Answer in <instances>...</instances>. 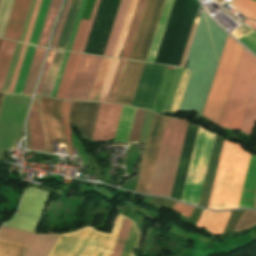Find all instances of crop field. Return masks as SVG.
<instances>
[{
  "mask_svg": "<svg viewBox=\"0 0 256 256\" xmlns=\"http://www.w3.org/2000/svg\"><path fill=\"white\" fill-rule=\"evenodd\" d=\"M60 100L40 97V115L43 124L47 152L53 153L52 141L65 143L64 130L61 120Z\"/></svg>",
  "mask_w": 256,
  "mask_h": 256,
  "instance_id": "28ad6ade",
  "label": "crop field"
},
{
  "mask_svg": "<svg viewBox=\"0 0 256 256\" xmlns=\"http://www.w3.org/2000/svg\"><path fill=\"white\" fill-rule=\"evenodd\" d=\"M240 41L246 45L252 52L256 54V33L250 32L249 34L245 35Z\"/></svg>",
  "mask_w": 256,
  "mask_h": 256,
  "instance_id": "425ffa30",
  "label": "crop field"
},
{
  "mask_svg": "<svg viewBox=\"0 0 256 256\" xmlns=\"http://www.w3.org/2000/svg\"><path fill=\"white\" fill-rule=\"evenodd\" d=\"M122 105L101 103L92 138L106 141L115 135Z\"/></svg>",
  "mask_w": 256,
  "mask_h": 256,
  "instance_id": "22f410ed",
  "label": "crop field"
},
{
  "mask_svg": "<svg viewBox=\"0 0 256 256\" xmlns=\"http://www.w3.org/2000/svg\"><path fill=\"white\" fill-rule=\"evenodd\" d=\"M99 2H100V0H96V1H95L94 7H93V11H92V14H91V17H90V22H89V25H88L86 34H85V36H84V39H83V42H82V45H81V48H80V51H79V52H81V53L84 52V49H85V46H86V43H87V39H88L90 30H91V27H92V24H93L95 15H96V11H97Z\"/></svg>",
  "mask_w": 256,
  "mask_h": 256,
  "instance_id": "d23c7cc5",
  "label": "crop field"
},
{
  "mask_svg": "<svg viewBox=\"0 0 256 256\" xmlns=\"http://www.w3.org/2000/svg\"><path fill=\"white\" fill-rule=\"evenodd\" d=\"M35 48L36 47H34V46H30V45L28 46L27 53H26V56H25V59L23 62V66H22L20 76H19L14 93H19V94L22 93L23 86H24V83H25V80H26V77L28 74V70H29V67H30V64H31V61L33 58Z\"/></svg>",
  "mask_w": 256,
  "mask_h": 256,
  "instance_id": "1d83c4d3",
  "label": "crop field"
},
{
  "mask_svg": "<svg viewBox=\"0 0 256 256\" xmlns=\"http://www.w3.org/2000/svg\"><path fill=\"white\" fill-rule=\"evenodd\" d=\"M88 21L81 20L71 51L78 52Z\"/></svg>",
  "mask_w": 256,
  "mask_h": 256,
  "instance_id": "5d738f31",
  "label": "crop field"
},
{
  "mask_svg": "<svg viewBox=\"0 0 256 256\" xmlns=\"http://www.w3.org/2000/svg\"><path fill=\"white\" fill-rule=\"evenodd\" d=\"M28 45L23 44L8 92L13 93Z\"/></svg>",
  "mask_w": 256,
  "mask_h": 256,
  "instance_id": "03da06ac",
  "label": "crop field"
},
{
  "mask_svg": "<svg viewBox=\"0 0 256 256\" xmlns=\"http://www.w3.org/2000/svg\"><path fill=\"white\" fill-rule=\"evenodd\" d=\"M120 210L123 212L122 215H124L127 211V208L122 206V207H120Z\"/></svg>",
  "mask_w": 256,
  "mask_h": 256,
  "instance_id": "9d1cf04e",
  "label": "crop field"
},
{
  "mask_svg": "<svg viewBox=\"0 0 256 256\" xmlns=\"http://www.w3.org/2000/svg\"><path fill=\"white\" fill-rule=\"evenodd\" d=\"M252 1L256 2V0H252Z\"/></svg>",
  "mask_w": 256,
  "mask_h": 256,
  "instance_id": "7b73153f",
  "label": "crop field"
},
{
  "mask_svg": "<svg viewBox=\"0 0 256 256\" xmlns=\"http://www.w3.org/2000/svg\"><path fill=\"white\" fill-rule=\"evenodd\" d=\"M145 63L129 61L116 101L131 105Z\"/></svg>",
  "mask_w": 256,
  "mask_h": 256,
  "instance_id": "5142ce71",
  "label": "crop field"
},
{
  "mask_svg": "<svg viewBox=\"0 0 256 256\" xmlns=\"http://www.w3.org/2000/svg\"><path fill=\"white\" fill-rule=\"evenodd\" d=\"M243 22L256 29V22L255 21H252L250 19H245V20H243Z\"/></svg>",
  "mask_w": 256,
  "mask_h": 256,
  "instance_id": "1d79db26",
  "label": "crop field"
},
{
  "mask_svg": "<svg viewBox=\"0 0 256 256\" xmlns=\"http://www.w3.org/2000/svg\"><path fill=\"white\" fill-rule=\"evenodd\" d=\"M40 3H41V0H36V4H35L34 10H33V14H32L30 24H29V27H28V31H27L25 41H24L26 43L29 42L30 35H31L32 29H33V26H34V23H35V19H36V16H37V13H38V10H39V7H40Z\"/></svg>",
  "mask_w": 256,
  "mask_h": 256,
  "instance_id": "25e5ab78",
  "label": "crop field"
},
{
  "mask_svg": "<svg viewBox=\"0 0 256 256\" xmlns=\"http://www.w3.org/2000/svg\"><path fill=\"white\" fill-rule=\"evenodd\" d=\"M130 0H121L111 32H110V36L104 51L105 56H113L115 47H116V43L125 19V15L129 6Z\"/></svg>",
  "mask_w": 256,
  "mask_h": 256,
  "instance_id": "214f88e0",
  "label": "crop field"
},
{
  "mask_svg": "<svg viewBox=\"0 0 256 256\" xmlns=\"http://www.w3.org/2000/svg\"><path fill=\"white\" fill-rule=\"evenodd\" d=\"M195 25L196 24L192 25V28H191V31H190V34H189V37H188V40H187V43H186V47H185V50H184V53H183V56H182V59H181V62H180L179 66H183V64H184L185 57H186V54H187V51H188V48H189V44H190V41H191V38H192V35H193V32H194Z\"/></svg>",
  "mask_w": 256,
  "mask_h": 256,
  "instance_id": "dbb93151",
  "label": "crop field"
},
{
  "mask_svg": "<svg viewBox=\"0 0 256 256\" xmlns=\"http://www.w3.org/2000/svg\"><path fill=\"white\" fill-rule=\"evenodd\" d=\"M34 237H35L34 234L17 231V230L5 228V227H2L0 229V239H4V240H9L13 242L30 245Z\"/></svg>",
  "mask_w": 256,
  "mask_h": 256,
  "instance_id": "750c4746",
  "label": "crop field"
},
{
  "mask_svg": "<svg viewBox=\"0 0 256 256\" xmlns=\"http://www.w3.org/2000/svg\"><path fill=\"white\" fill-rule=\"evenodd\" d=\"M165 0H148L129 59L145 61Z\"/></svg>",
  "mask_w": 256,
  "mask_h": 256,
  "instance_id": "d8731c3e",
  "label": "crop field"
},
{
  "mask_svg": "<svg viewBox=\"0 0 256 256\" xmlns=\"http://www.w3.org/2000/svg\"><path fill=\"white\" fill-rule=\"evenodd\" d=\"M128 61L120 60L106 102H114Z\"/></svg>",
  "mask_w": 256,
  "mask_h": 256,
  "instance_id": "d32e631a",
  "label": "crop field"
},
{
  "mask_svg": "<svg viewBox=\"0 0 256 256\" xmlns=\"http://www.w3.org/2000/svg\"><path fill=\"white\" fill-rule=\"evenodd\" d=\"M139 236H140V233L138 232V230L136 229V227L132 223L131 228H130V232H129V236H128V239L126 241V244H125V247L123 249V252H122L121 256H130L131 255V253L136 248Z\"/></svg>",
  "mask_w": 256,
  "mask_h": 256,
  "instance_id": "0bd39190",
  "label": "crop field"
},
{
  "mask_svg": "<svg viewBox=\"0 0 256 256\" xmlns=\"http://www.w3.org/2000/svg\"><path fill=\"white\" fill-rule=\"evenodd\" d=\"M77 55L78 54H74V53L69 54V57H68V60H67L64 72H63V76H62V79H61V82H60V85H59V88H58V91H57V94L55 97L57 99L63 100V98H64Z\"/></svg>",
  "mask_w": 256,
  "mask_h": 256,
  "instance_id": "bd1437ed",
  "label": "crop field"
},
{
  "mask_svg": "<svg viewBox=\"0 0 256 256\" xmlns=\"http://www.w3.org/2000/svg\"><path fill=\"white\" fill-rule=\"evenodd\" d=\"M135 109L123 105L114 143H127Z\"/></svg>",
  "mask_w": 256,
  "mask_h": 256,
  "instance_id": "00972430",
  "label": "crop field"
},
{
  "mask_svg": "<svg viewBox=\"0 0 256 256\" xmlns=\"http://www.w3.org/2000/svg\"><path fill=\"white\" fill-rule=\"evenodd\" d=\"M68 54L69 53H67V52L65 53V56H64V59H63V62H62V65H61V68H60V71H59V74H58V77H57V80H56V83H55V86H54V89H53V92H52V95H51L53 97H55V94H56V91H57V88H58V85H59V82H60V79H61V75H62L64 66H65Z\"/></svg>",
  "mask_w": 256,
  "mask_h": 256,
  "instance_id": "1f2cbd36",
  "label": "crop field"
},
{
  "mask_svg": "<svg viewBox=\"0 0 256 256\" xmlns=\"http://www.w3.org/2000/svg\"><path fill=\"white\" fill-rule=\"evenodd\" d=\"M256 193V156L251 155L245 182L239 202V207H253Z\"/></svg>",
  "mask_w": 256,
  "mask_h": 256,
  "instance_id": "bc2a9ffb",
  "label": "crop field"
},
{
  "mask_svg": "<svg viewBox=\"0 0 256 256\" xmlns=\"http://www.w3.org/2000/svg\"><path fill=\"white\" fill-rule=\"evenodd\" d=\"M219 3H221L222 2V0H217Z\"/></svg>",
  "mask_w": 256,
  "mask_h": 256,
  "instance_id": "db79e9e6",
  "label": "crop field"
},
{
  "mask_svg": "<svg viewBox=\"0 0 256 256\" xmlns=\"http://www.w3.org/2000/svg\"><path fill=\"white\" fill-rule=\"evenodd\" d=\"M3 96H4V94L0 93V108H1L2 100H3Z\"/></svg>",
  "mask_w": 256,
  "mask_h": 256,
  "instance_id": "447ae74e",
  "label": "crop field"
},
{
  "mask_svg": "<svg viewBox=\"0 0 256 256\" xmlns=\"http://www.w3.org/2000/svg\"><path fill=\"white\" fill-rule=\"evenodd\" d=\"M27 245L0 240V256H22Z\"/></svg>",
  "mask_w": 256,
  "mask_h": 256,
  "instance_id": "120bbe31",
  "label": "crop field"
},
{
  "mask_svg": "<svg viewBox=\"0 0 256 256\" xmlns=\"http://www.w3.org/2000/svg\"><path fill=\"white\" fill-rule=\"evenodd\" d=\"M46 49L36 48L35 55L22 94H32L38 79L39 71L44 60Z\"/></svg>",
  "mask_w": 256,
  "mask_h": 256,
  "instance_id": "4177f3b9",
  "label": "crop field"
},
{
  "mask_svg": "<svg viewBox=\"0 0 256 256\" xmlns=\"http://www.w3.org/2000/svg\"><path fill=\"white\" fill-rule=\"evenodd\" d=\"M81 55L82 54L78 55V58H77V61H76V64H75V68H74V71H73V74H72V77H71V80H70V83H69V86H68V90H67V93H66V96H65V100L68 99V96H69V93H70V90H71V86H72V83H73V80H74V77H75V74H76V71H77V68H78V64H79Z\"/></svg>",
  "mask_w": 256,
  "mask_h": 256,
  "instance_id": "0fb4a251",
  "label": "crop field"
},
{
  "mask_svg": "<svg viewBox=\"0 0 256 256\" xmlns=\"http://www.w3.org/2000/svg\"><path fill=\"white\" fill-rule=\"evenodd\" d=\"M256 121V80L239 131L249 135ZM253 130V129H252ZM252 132V131H251ZM251 134V133H250Z\"/></svg>",
  "mask_w": 256,
  "mask_h": 256,
  "instance_id": "eef30255",
  "label": "crop field"
},
{
  "mask_svg": "<svg viewBox=\"0 0 256 256\" xmlns=\"http://www.w3.org/2000/svg\"><path fill=\"white\" fill-rule=\"evenodd\" d=\"M147 0H139L120 58L128 59Z\"/></svg>",
  "mask_w": 256,
  "mask_h": 256,
  "instance_id": "a9b5d70f",
  "label": "crop field"
},
{
  "mask_svg": "<svg viewBox=\"0 0 256 256\" xmlns=\"http://www.w3.org/2000/svg\"><path fill=\"white\" fill-rule=\"evenodd\" d=\"M223 142H224V139H222L219 135H216L203 189H202V193H201V197H200V201H199V205H198L200 207L207 208L208 206Z\"/></svg>",
  "mask_w": 256,
  "mask_h": 256,
  "instance_id": "d9b57169",
  "label": "crop field"
},
{
  "mask_svg": "<svg viewBox=\"0 0 256 256\" xmlns=\"http://www.w3.org/2000/svg\"><path fill=\"white\" fill-rule=\"evenodd\" d=\"M1 40H2V39H0V43H1Z\"/></svg>",
  "mask_w": 256,
  "mask_h": 256,
  "instance_id": "78b8030e",
  "label": "crop field"
},
{
  "mask_svg": "<svg viewBox=\"0 0 256 256\" xmlns=\"http://www.w3.org/2000/svg\"><path fill=\"white\" fill-rule=\"evenodd\" d=\"M102 57L83 54L68 100L87 101Z\"/></svg>",
  "mask_w": 256,
  "mask_h": 256,
  "instance_id": "d1516ede",
  "label": "crop field"
},
{
  "mask_svg": "<svg viewBox=\"0 0 256 256\" xmlns=\"http://www.w3.org/2000/svg\"><path fill=\"white\" fill-rule=\"evenodd\" d=\"M70 2H71V0H67L66 3H65L64 10H63V13H62V15H61V18H60V20H59V23H58V25H57V28H56V30H55V32H54V35H53V39H52V43H51V47H50V48H53V49L56 48V45H57V42H58V39H59L61 30H62L64 21H65V18H66L67 12H68V8H69V5H70Z\"/></svg>",
  "mask_w": 256,
  "mask_h": 256,
  "instance_id": "c21b1889",
  "label": "crop field"
},
{
  "mask_svg": "<svg viewBox=\"0 0 256 256\" xmlns=\"http://www.w3.org/2000/svg\"><path fill=\"white\" fill-rule=\"evenodd\" d=\"M31 0H15L5 30V39L18 41Z\"/></svg>",
  "mask_w": 256,
  "mask_h": 256,
  "instance_id": "733c2abd",
  "label": "crop field"
},
{
  "mask_svg": "<svg viewBox=\"0 0 256 256\" xmlns=\"http://www.w3.org/2000/svg\"><path fill=\"white\" fill-rule=\"evenodd\" d=\"M230 3L245 17L256 20V3L250 0H234Z\"/></svg>",
  "mask_w": 256,
  "mask_h": 256,
  "instance_id": "028f5c9d",
  "label": "crop field"
},
{
  "mask_svg": "<svg viewBox=\"0 0 256 256\" xmlns=\"http://www.w3.org/2000/svg\"><path fill=\"white\" fill-rule=\"evenodd\" d=\"M256 77V59L243 49L221 117L220 126L239 130Z\"/></svg>",
  "mask_w": 256,
  "mask_h": 256,
  "instance_id": "412701ff",
  "label": "crop field"
},
{
  "mask_svg": "<svg viewBox=\"0 0 256 256\" xmlns=\"http://www.w3.org/2000/svg\"><path fill=\"white\" fill-rule=\"evenodd\" d=\"M187 125L167 117L148 194L170 197Z\"/></svg>",
  "mask_w": 256,
  "mask_h": 256,
  "instance_id": "ac0d7876",
  "label": "crop field"
},
{
  "mask_svg": "<svg viewBox=\"0 0 256 256\" xmlns=\"http://www.w3.org/2000/svg\"><path fill=\"white\" fill-rule=\"evenodd\" d=\"M189 73H190L189 71H187L185 69L183 70L181 80H180V83H179V86H178V89H177V92H176V95H175V98H174V102H173V105H172V108H171L170 112H174V111L178 110V107H179V104H180V101H181V98H182V95H183V91H184Z\"/></svg>",
  "mask_w": 256,
  "mask_h": 256,
  "instance_id": "c035e120",
  "label": "crop field"
},
{
  "mask_svg": "<svg viewBox=\"0 0 256 256\" xmlns=\"http://www.w3.org/2000/svg\"><path fill=\"white\" fill-rule=\"evenodd\" d=\"M61 3L62 0H51L37 45L47 47L50 29L56 19Z\"/></svg>",
  "mask_w": 256,
  "mask_h": 256,
  "instance_id": "730fd06b",
  "label": "crop field"
},
{
  "mask_svg": "<svg viewBox=\"0 0 256 256\" xmlns=\"http://www.w3.org/2000/svg\"><path fill=\"white\" fill-rule=\"evenodd\" d=\"M123 219L117 216L109 234L85 227L60 235L48 256H109Z\"/></svg>",
  "mask_w": 256,
  "mask_h": 256,
  "instance_id": "34b2d1b8",
  "label": "crop field"
},
{
  "mask_svg": "<svg viewBox=\"0 0 256 256\" xmlns=\"http://www.w3.org/2000/svg\"><path fill=\"white\" fill-rule=\"evenodd\" d=\"M166 67L164 65L145 64L133 106L153 110Z\"/></svg>",
  "mask_w": 256,
  "mask_h": 256,
  "instance_id": "5a996713",
  "label": "crop field"
},
{
  "mask_svg": "<svg viewBox=\"0 0 256 256\" xmlns=\"http://www.w3.org/2000/svg\"><path fill=\"white\" fill-rule=\"evenodd\" d=\"M111 60L112 59H110V58H105V57L102 58V61H101V64H100V67H99V70H98V73H97V76H96V79H95V82H94V85H93V88H92V91H91L88 101H93V102L98 101L104 80L106 78V75H107V72H108V69H109V66L111 63Z\"/></svg>",
  "mask_w": 256,
  "mask_h": 256,
  "instance_id": "d3111659",
  "label": "crop field"
},
{
  "mask_svg": "<svg viewBox=\"0 0 256 256\" xmlns=\"http://www.w3.org/2000/svg\"><path fill=\"white\" fill-rule=\"evenodd\" d=\"M173 210L189 218L193 210V207L176 202L175 206L173 207Z\"/></svg>",
  "mask_w": 256,
  "mask_h": 256,
  "instance_id": "89e229c0",
  "label": "crop field"
},
{
  "mask_svg": "<svg viewBox=\"0 0 256 256\" xmlns=\"http://www.w3.org/2000/svg\"><path fill=\"white\" fill-rule=\"evenodd\" d=\"M85 2H86V0H83V2H82V5H81V8H80V11H79V14H78V17H77V20H76V23H75L72 35L70 37V40H69V43H68V46H67V49H66L68 51L71 50V47H72V44H73V40H74L76 31H77V28H78V24H79V21H80V18H81V15H82V12H83V9H84V6H85Z\"/></svg>",
  "mask_w": 256,
  "mask_h": 256,
  "instance_id": "73cf0c24",
  "label": "crop field"
},
{
  "mask_svg": "<svg viewBox=\"0 0 256 256\" xmlns=\"http://www.w3.org/2000/svg\"><path fill=\"white\" fill-rule=\"evenodd\" d=\"M120 0H101L84 53L102 55Z\"/></svg>",
  "mask_w": 256,
  "mask_h": 256,
  "instance_id": "e52e79f7",
  "label": "crop field"
},
{
  "mask_svg": "<svg viewBox=\"0 0 256 256\" xmlns=\"http://www.w3.org/2000/svg\"><path fill=\"white\" fill-rule=\"evenodd\" d=\"M69 104L70 102L63 101L62 119H63V125L65 129V135H66V144H68V155H72L71 131L69 127V117H68Z\"/></svg>",
  "mask_w": 256,
  "mask_h": 256,
  "instance_id": "b80d0937",
  "label": "crop field"
},
{
  "mask_svg": "<svg viewBox=\"0 0 256 256\" xmlns=\"http://www.w3.org/2000/svg\"><path fill=\"white\" fill-rule=\"evenodd\" d=\"M49 1L50 0H42L41 7L39 10L37 19H36V23H35V26H34V29H33L32 35H31L30 42H29L31 44H35V45L37 44L38 37H39L41 27H42V24H43V21L45 18V14H46V11L48 8Z\"/></svg>",
  "mask_w": 256,
  "mask_h": 256,
  "instance_id": "e1f06a70",
  "label": "crop field"
},
{
  "mask_svg": "<svg viewBox=\"0 0 256 256\" xmlns=\"http://www.w3.org/2000/svg\"><path fill=\"white\" fill-rule=\"evenodd\" d=\"M203 129V128H202ZM198 129L181 200L197 206L214 136Z\"/></svg>",
  "mask_w": 256,
  "mask_h": 256,
  "instance_id": "dd49c442",
  "label": "crop field"
},
{
  "mask_svg": "<svg viewBox=\"0 0 256 256\" xmlns=\"http://www.w3.org/2000/svg\"><path fill=\"white\" fill-rule=\"evenodd\" d=\"M130 224H131V221L124 219L110 256H120L123 246L125 244L126 238L128 236Z\"/></svg>",
  "mask_w": 256,
  "mask_h": 256,
  "instance_id": "5866460e",
  "label": "crop field"
},
{
  "mask_svg": "<svg viewBox=\"0 0 256 256\" xmlns=\"http://www.w3.org/2000/svg\"><path fill=\"white\" fill-rule=\"evenodd\" d=\"M59 234L36 235L24 256H47Z\"/></svg>",
  "mask_w": 256,
  "mask_h": 256,
  "instance_id": "dafd665d",
  "label": "crop field"
},
{
  "mask_svg": "<svg viewBox=\"0 0 256 256\" xmlns=\"http://www.w3.org/2000/svg\"><path fill=\"white\" fill-rule=\"evenodd\" d=\"M243 47L227 36L202 116L218 124Z\"/></svg>",
  "mask_w": 256,
  "mask_h": 256,
  "instance_id": "f4fd0767",
  "label": "crop field"
},
{
  "mask_svg": "<svg viewBox=\"0 0 256 256\" xmlns=\"http://www.w3.org/2000/svg\"><path fill=\"white\" fill-rule=\"evenodd\" d=\"M166 117L154 114L136 190L147 193Z\"/></svg>",
  "mask_w": 256,
  "mask_h": 256,
  "instance_id": "3316defc",
  "label": "crop field"
},
{
  "mask_svg": "<svg viewBox=\"0 0 256 256\" xmlns=\"http://www.w3.org/2000/svg\"><path fill=\"white\" fill-rule=\"evenodd\" d=\"M253 209H255V210H256V198H255V203H254V207H253Z\"/></svg>",
  "mask_w": 256,
  "mask_h": 256,
  "instance_id": "0765c3eb",
  "label": "crop field"
},
{
  "mask_svg": "<svg viewBox=\"0 0 256 256\" xmlns=\"http://www.w3.org/2000/svg\"><path fill=\"white\" fill-rule=\"evenodd\" d=\"M249 157L242 147L224 142L208 208H237Z\"/></svg>",
  "mask_w": 256,
  "mask_h": 256,
  "instance_id": "8a807250",
  "label": "crop field"
},
{
  "mask_svg": "<svg viewBox=\"0 0 256 256\" xmlns=\"http://www.w3.org/2000/svg\"><path fill=\"white\" fill-rule=\"evenodd\" d=\"M0 2H1V0H0Z\"/></svg>",
  "mask_w": 256,
  "mask_h": 256,
  "instance_id": "0f1d7ab4",
  "label": "crop field"
},
{
  "mask_svg": "<svg viewBox=\"0 0 256 256\" xmlns=\"http://www.w3.org/2000/svg\"><path fill=\"white\" fill-rule=\"evenodd\" d=\"M100 103L71 102L70 122L82 133L83 139H90Z\"/></svg>",
  "mask_w": 256,
  "mask_h": 256,
  "instance_id": "cbeb9de0",
  "label": "crop field"
},
{
  "mask_svg": "<svg viewBox=\"0 0 256 256\" xmlns=\"http://www.w3.org/2000/svg\"><path fill=\"white\" fill-rule=\"evenodd\" d=\"M15 44V42L3 39L0 46V91L3 87Z\"/></svg>",
  "mask_w": 256,
  "mask_h": 256,
  "instance_id": "ae1a2a85",
  "label": "crop field"
},
{
  "mask_svg": "<svg viewBox=\"0 0 256 256\" xmlns=\"http://www.w3.org/2000/svg\"><path fill=\"white\" fill-rule=\"evenodd\" d=\"M231 212H210L204 210L197 225L209 230L212 233L221 234Z\"/></svg>",
  "mask_w": 256,
  "mask_h": 256,
  "instance_id": "92a150f3",
  "label": "crop field"
},
{
  "mask_svg": "<svg viewBox=\"0 0 256 256\" xmlns=\"http://www.w3.org/2000/svg\"><path fill=\"white\" fill-rule=\"evenodd\" d=\"M54 52L55 51H53V50H50V52H49V55H48V58L46 60L45 66L43 68L41 79H40V82H39V85L37 87V90H36L35 94H38V95L41 94V91H42V88H43V85H44V82H45V79H46V76H47L52 58H53V55H54Z\"/></svg>",
  "mask_w": 256,
  "mask_h": 256,
  "instance_id": "b54c1fbb",
  "label": "crop field"
},
{
  "mask_svg": "<svg viewBox=\"0 0 256 256\" xmlns=\"http://www.w3.org/2000/svg\"><path fill=\"white\" fill-rule=\"evenodd\" d=\"M32 149L46 152L42 124L39 116V97L34 98L28 118Z\"/></svg>",
  "mask_w": 256,
  "mask_h": 256,
  "instance_id": "4a817a6b",
  "label": "crop field"
}]
</instances>
